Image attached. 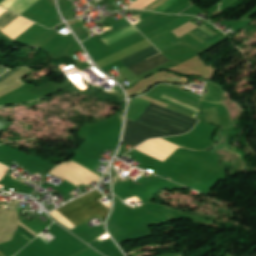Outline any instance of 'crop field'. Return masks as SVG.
I'll return each mask as SVG.
<instances>
[{
	"mask_svg": "<svg viewBox=\"0 0 256 256\" xmlns=\"http://www.w3.org/2000/svg\"><path fill=\"white\" fill-rule=\"evenodd\" d=\"M197 120L151 103L136 123L126 119L122 141L134 147L145 140L188 132Z\"/></svg>",
	"mask_w": 256,
	"mask_h": 256,
	"instance_id": "8a807250",
	"label": "crop field"
},
{
	"mask_svg": "<svg viewBox=\"0 0 256 256\" xmlns=\"http://www.w3.org/2000/svg\"><path fill=\"white\" fill-rule=\"evenodd\" d=\"M103 197L94 190L56 210L76 226L97 215L105 220L109 209L98 201Z\"/></svg>",
	"mask_w": 256,
	"mask_h": 256,
	"instance_id": "ac0d7876",
	"label": "crop field"
},
{
	"mask_svg": "<svg viewBox=\"0 0 256 256\" xmlns=\"http://www.w3.org/2000/svg\"><path fill=\"white\" fill-rule=\"evenodd\" d=\"M146 60H144V61H142V62H140L138 64H135V65L129 67V69L136 76H138V75H140V74H142V73H144L146 71H149V70H151V69H153V68H155L157 66H160V65L168 62V60L164 56H162L161 54L156 56V57H154V58H152V59H150V60H148V61H146Z\"/></svg>",
	"mask_w": 256,
	"mask_h": 256,
	"instance_id": "34b2d1b8",
	"label": "crop field"
},
{
	"mask_svg": "<svg viewBox=\"0 0 256 256\" xmlns=\"http://www.w3.org/2000/svg\"><path fill=\"white\" fill-rule=\"evenodd\" d=\"M158 52H159L158 50H156L153 46H151L149 48H146V49H144V50H142V51H140L136 54H133V55L121 60V62L125 66L129 67V66H131V65H133L137 62H140V61H142V60H144V59H146V58H148V57H150V56H152V55H154Z\"/></svg>",
	"mask_w": 256,
	"mask_h": 256,
	"instance_id": "412701ff",
	"label": "crop field"
},
{
	"mask_svg": "<svg viewBox=\"0 0 256 256\" xmlns=\"http://www.w3.org/2000/svg\"><path fill=\"white\" fill-rule=\"evenodd\" d=\"M16 17H18V15L13 14L9 11L0 16V30L4 28L7 24H9L11 21H13Z\"/></svg>",
	"mask_w": 256,
	"mask_h": 256,
	"instance_id": "f4fd0767",
	"label": "crop field"
},
{
	"mask_svg": "<svg viewBox=\"0 0 256 256\" xmlns=\"http://www.w3.org/2000/svg\"><path fill=\"white\" fill-rule=\"evenodd\" d=\"M206 28V27H205ZM204 27H199L198 29H196L195 31H193V32H195L196 34H198L200 37H202L203 39H208V38H210L211 36H213V35H215V34H213L212 32H210V31H208L207 29H205Z\"/></svg>",
	"mask_w": 256,
	"mask_h": 256,
	"instance_id": "dd49c442",
	"label": "crop field"
},
{
	"mask_svg": "<svg viewBox=\"0 0 256 256\" xmlns=\"http://www.w3.org/2000/svg\"><path fill=\"white\" fill-rule=\"evenodd\" d=\"M18 225H20L22 228H24L25 230H27L29 233H31L33 236H37L35 235L33 232H31L29 229H27L25 226H23L21 223H18ZM16 227V230L19 231L22 235H24L27 239H29L30 241L34 238L31 234H29L28 232H26L24 229H22L20 226Z\"/></svg>",
	"mask_w": 256,
	"mask_h": 256,
	"instance_id": "e52e79f7",
	"label": "crop field"
},
{
	"mask_svg": "<svg viewBox=\"0 0 256 256\" xmlns=\"http://www.w3.org/2000/svg\"><path fill=\"white\" fill-rule=\"evenodd\" d=\"M128 25H130V23L123 18L110 26L113 27L116 31H118Z\"/></svg>",
	"mask_w": 256,
	"mask_h": 256,
	"instance_id": "d8731c3e",
	"label": "crop field"
},
{
	"mask_svg": "<svg viewBox=\"0 0 256 256\" xmlns=\"http://www.w3.org/2000/svg\"><path fill=\"white\" fill-rule=\"evenodd\" d=\"M166 92H168V93H170V94H173V95H175V96H177V97H180V98H182V99H184V100H187V101H189V102H191V103H194V104H196V105H198L199 106V104L197 103V102H195V101H193V100H190V99H188V98H186V97H183V96H181V95H178V94H175V93H173V92H170V91H168V90H166ZM173 103V102H172ZM175 104V103H174ZM177 105V104H176ZM179 106V105H178ZM188 110V109H187ZM190 111V110H189Z\"/></svg>",
	"mask_w": 256,
	"mask_h": 256,
	"instance_id": "5a996713",
	"label": "crop field"
},
{
	"mask_svg": "<svg viewBox=\"0 0 256 256\" xmlns=\"http://www.w3.org/2000/svg\"><path fill=\"white\" fill-rule=\"evenodd\" d=\"M17 70H19V69L10 70V71H8L7 73H5L4 75H2V76L0 77V82H1L2 80H4L5 78H7L8 76H10L11 74H13L14 72H16Z\"/></svg>",
	"mask_w": 256,
	"mask_h": 256,
	"instance_id": "3316defc",
	"label": "crop field"
},
{
	"mask_svg": "<svg viewBox=\"0 0 256 256\" xmlns=\"http://www.w3.org/2000/svg\"><path fill=\"white\" fill-rule=\"evenodd\" d=\"M9 121L0 118V129L3 128Z\"/></svg>",
	"mask_w": 256,
	"mask_h": 256,
	"instance_id": "28ad6ade",
	"label": "crop field"
},
{
	"mask_svg": "<svg viewBox=\"0 0 256 256\" xmlns=\"http://www.w3.org/2000/svg\"><path fill=\"white\" fill-rule=\"evenodd\" d=\"M216 37H219V34L214 36V37H212V38H210V39H208V40H206V41H204V42L208 43V42L212 41L213 39H215Z\"/></svg>",
	"mask_w": 256,
	"mask_h": 256,
	"instance_id": "d1516ede",
	"label": "crop field"
},
{
	"mask_svg": "<svg viewBox=\"0 0 256 256\" xmlns=\"http://www.w3.org/2000/svg\"><path fill=\"white\" fill-rule=\"evenodd\" d=\"M4 71H5V69L0 68V74H1L2 72H4Z\"/></svg>",
	"mask_w": 256,
	"mask_h": 256,
	"instance_id": "22f410ed",
	"label": "crop field"
}]
</instances>
